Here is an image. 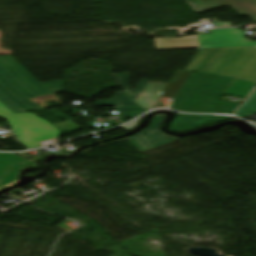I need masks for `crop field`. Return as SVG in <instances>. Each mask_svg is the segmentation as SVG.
Wrapping results in <instances>:
<instances>
[{
	"label": "crop field",
	"mask_w": 256,
	"mask_h": 256,
	"mask_svg": "<svg viewBox=\"0 0 256 256\" xmlns=\"http://www.w3.org/2000/svg\"><path fill=\"white\" fill-rule=\"evenodd\" d=\"M64 80L39 83L12 56L0 57V103L14 114L37 109L25 98L61 92Z\"/></svg>",
	"instance_id": "8a807250"
},
{
	"label": "crop field",
	"mask_w": 256,
	"mask_h": 256,
	"mask_svg": "<svg viewBox=\"0 0 256 256\" xmlns=\"http://www.w3.org/2000/svg\"><path fill=\"white\" fill-rule=\"evenodd\" d=\"M234 79L193 72L174 98L171 109L192 113H227L238 106L218 101ZM219 108L218 110L212 109Z\"/></svg>",
	"instance_id": "ac0d7876"
},
{
	"label": "crop field",
	"mask_w": 256,
	"mask_h": 256,
	"mask_svg": "<svg viewBox=\"0 0 256 256\" xmlns=\"http://www.w3.org/2000/svg\"><path fill=\"white\" fill-rule=\"evenodd\" d=\"M187 70L256 81V48L201 49Z\"/></svg>",
	"instance_id": "34b2d1b8"
},
{
	"label": "crop field",
	"mask_w": 256,
	"mask_h": 256,
	"mask_svg": "<svg viewBox=\"0 0 256 256\" xmlns=\"http://www.w3.org/2000/svg\"><path fill=\"white\" fill-rule=\"evenodd\" d=\"M210 33L175 39L155 38V42L157 49L256 47V42H245L243 31L239 29L210 30Z\"/></svg>",
	"instance_id": "412701ff"
},
{
	"label": "crop field",
	"mask_w": 256,
	"mask_h": 256,
	"mask_svg": "<svg viewBox=\"0 0 256 256\" xmlns=\"http://www.w3.org/2000/svg\"><path fill=\"white\" fill-rule=\"evenodd\" d=\"M0 116L10 122L18 140L29 149L42 145L37 140L58 136L59 130L32 113L14 115L0 104Z\"/></svg>",
	"instance_id": "f4fd0767"
},
{
	"label": "crop field",
	"mask_w": 256,
	"mask_h": 256,
	"mask_svg": "<svg viewBox=\"0 0 256 256\" xmlns=\"http://www.w3.org/2000/svg\"><path fill=\"white\" fill-rule=\"evenodd\" d=\"M117 85L124 92H117L112 100H98L93 105L114 106L122 117L135 118L145 111L133 101L137 98L149 80L142 79L136 90L130 88L128 73L113 74Z\"/></svg>",
	"instance_id": "dd49c442"
},
{
	"label": "crop field",
	"mask_w": 256,
	"mask_h": 256,
	"mask_svg": "<svg viewBox=\"0 0 256 256\" xmlns=\"http://www.w3.org/2000/svg\"><path fill=\"white\" fill-rule=\"evenodd\" d=\"M164 115L155 116L150 125L129 139L142 151L153 149L176 141V138L160 133L159 126Z\"/></svg>",
	"instance_id": "e52e79f7"
},
{
	"label": "crop field",
	"mask_w": 256,
	"mask_h": 256,
	"mask_svg": "<svg viewBox=\"0 0 256 256\" xmlns=\"http://www.w3.org/2000/svg\"><path fill=\"white\" fill-rule=\"evenodd\" d=\"M196 12L229 5L242 16H256V0H185Z\"/></svg>",
	"instance_id": "d8731c3e"
},
{
	"label": "crop field",
	"mask_w": 256,
	"mask_h": 256,
	"mask_svg": "<svg viewBox=\"0 0 256 256\" xmlns=\"http://www.w3.org/2000/svg\"><path fill=\"white\" fill-rule=\"evenodd\" d=\"M32 165L37 164L14 154H0V189L17 182L20 170Z\"/></svg>",
	"instance_id": "5a996713"
},
{
	"label": "crop field",
	"mask_w": 256,
	"mask_h": 256,
	"mask_svg": "<svg viewBox=\"0 0 256 256\" xmlns=\"http://www.w3.org/2000/svg\"><path fill=\"white\" fill-rule=\"evenodd\" d=\"M165 86V84L149 82L134 102L146 110L152 109Z\"/></svg>",
	"instance_id": "3316defc"
},
{
	"label": "crop field",
	"mask_w": 256,
	"mask_h": 256,
	"mask_svg": "<svg viewBox=\"0 0 256 256\" xmlns=\"http://www.w3.org/2000/svg\"><path fill=\"white\" fill-rule=\"evenodd\" d=\"M178 116L185 117V118H191L197 124L181 126V127H170V130L173 131V132H185V131L196 129V128L203 127V126H206V125L215 124V123H218L220 121L231 119V117H216V116H202V115H181V114H178Z\"/></svg>",
	"instance_id": "28ad6ade"
},
{
	"label": "crop field",
	"mask_w": 256,
	"mask_h": 256,
	"mask_svg": "<svg viewBox=\"0 0 256 256\" xmlns=\"http://www.w3.org/2000/svg\"><path fill=\"white\" fill-rule=\"evenodd\" d=\"M255 86L256 82L235 79L224 94L246 98Z\"/></svg>",
	"instance_id": "d1516ede"
},
{
	"label": "crop field",
	"mask_w": 256,
	"mask_h": 256,
	"mask_svg": "<svg viewBox=\"0 0 256 256\" xmlns=\"http://www.w3.org/2000/svg\"><path fill=\"white\" fill-rule=\"evenodd\" d=\"M251 113L256 114V91L253 93L247 103L239 109L236 115L243 118Z\"/></svg>",
	"instance_id": "22f410ed"
},
{
	"label": "crop field",
	"mask_w": 256,
	"mask_h": 256,
	"mask_svg": "<svg viewBox=\"0 0 256 256\" xmlns=\"http://www.w3.org/2000/svg\"><path fill=\"white\" fill-rule=\"evenodd\" d=\"M195 122H193L191 119H184L181 117H177L173 120L171 126H181V125H187V124H193Z\"/></svg>",
	"instance_id": "cbeb9de0"
},
{
	"label": "crop field",
	"mask_w": 256,
	"mask_h": 256,
	"mask_svg": "<svg viewBox=\"0 0 256 256\" xmlns=\"http://www.w3.org/2000/svg\"><path fill=\"white\" fill-rule=\"evenodd\" d=\"M213 20L216 28L232 27L231 23H224V22L217 23L216 19H213Z\"/></svg>",
	"instance_id": "5142ce71"
},
{
	"label": "crop field",
	"mask_w": 256,
	"mask_h": 256,
	"mask_svg": "<svg viewBox=\"0 0 256 256\" xmlns=\"http://www.w3.org/2000/svg\"><path fill=\"white\" fill-rule=\"evenodd\" d=\"M252 20L256 21V17H251Z\"/></svg>",
	"instance_id": "d9b57169"
}]
</instances>
